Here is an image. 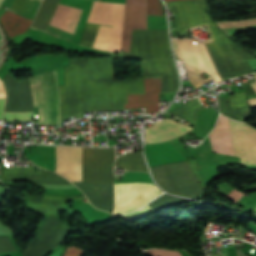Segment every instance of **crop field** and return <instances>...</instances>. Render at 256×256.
<instances>
[{
	"instance_id": "obj_32",
	"label": "crop field",
	"mask_w": 256,
	"mask_h": 256,
	"mask_svg": "<svg viewBox=\"0 0 256 256\" xmlns=\"http://www.w3.org/2000/svg\"><path fill=\"white\" fill-rule=\"evenodd\" d=\"M4 105H5V99H0V119H2Z\"/></svg>"
},
{
	"instance_id": "obj_11",
	"label": "crop field",
	"mask_w": 256,
	"mask_h": 256,
	"mask_svg": "<svg viewBox=\"0 0 256 256\" xmlns=\"http://www.w3.org/2000/svg\"><path fill=\"white\" fill-rule=\"evenodd\" d=\"M145 94L128 95L125 109L146 107L147 113L158 112V94H160L161 78H144Z\"/></svg>"
},
{
	"instance_id": "obj_5",
	"label": "crop field",
	"mask_w": 256,
	"mask_h": 256,
	"mask_svg": "<svg viewBox=\"0 0 256 256\" xmlns=\"http://www.w3.org/2000/svg\"><path fill=\"white\" fill-rule=\"evenodd\" d=\"M115 208L113 216L141 208L162 194L154 184L121 183L114 184Z\"/></svg>"
},
{
	"instance_id": "obj_17",
	"label": "crop field",
	"mask_w": 256,
	"mask_h": 256,
	"mask_svg": "<svg viewBox=\"0 0 256 256\" xmlns=\"http://www.w3.org/2000/svg\"><path fill=\"white\" fill-rule=\"evenodd\" d=\"M83 7L60 2L50 24L74 31Z\"/></svg>"
},
{
	"instance_id": "obj_2",
	"label": "crop field",
	"mask_w": 256,
	"mask_h": 256,
	"mask_svg": "<svg viewBox=\"0 0 256 256\" xmlns=\"http://www.w3.org/2000/svg\"><path fill=\"white\" fill-rule=\"evenodd\" d=\"M130 57L141 60L143 76L162 77L161 93H176L178 75L169 51L167 30H133Z\"/></svg>"
},
{
	"instance_id": "obj_34",
	"label": "crop field",
	"mask_w": 256,
	"mask_h": 256,
	"mask_svg": "<svg viewBox=\"0 0 256 256\" xmlns=\"http://www.w3.org/2000/svg\"><path fill=\"white\" fill-rule=\"evenodd\" d=\"M40 2H41V1H40ZM39 5H40V3H39ZM39 5H38V7H39ZM38 7H37V9H38ZM36 11H37V10H36ZM35 13H36V12H35ZM34 16H35V14H34ZM34 16H33V17H34Z\"/></svg>"
},
{
	"instance_id": "obj_20",
	"label": "crop field",
	"mask_w": 256,
	"mask_h": 256,
	"mask_svg": "<svg viewBox=\"0 0 256 256\" xmlns=\"http://www.w3.org/2000/svg\"><path fill=\"white\" fill-rule=\"evenodd\" d=\"M117 167L126 168V170L148 172L140 152L126 153L118 157Z\"/></svg>"
},
{
	"instance_id": "obj_19",
	"label": "crop field",
	"mask_w": 256,
	"mask_h": 256,
	"mask_svg": "<svg viewBox=\"0 0 256 256\" xmlns=\"http://www.w3.org/2000/svg\"><path fill=\"white\" fill-rule=\"evenodd\" d=\"M59 1L60 0H44L31 27L45 31Z\"/></svg>"
},
{
	"instance_id": "obj_22",
	"label": "crop field",
	"mask_w": 256,
	"mask_h": 256,
	"mask_svg": "<svg viewBox=\"0 0 256 256\" xmlns=\"http://www.w3.org/2000/svg\"><path fill=\"white\" fill-rule=\"evenodd\" d=\"M112 28L100 26L93 48L108 50Z\"/></svg>"
},
{
	"instance_id": "obj_4",
	"label": "crop field",
	"mask_w": 256,
	"mask_h": 256,
	"mask_svg": "<svg viewBox=\"0 0 256 256\" xmlns=\"http://www.w3.org/2000/svg\"><path fill=\"white\" fill-rule=\"evenodd\" d=\"M174 51L179 59L183 60L190 82L195 88L213 80L208 77L202 79L199 74L204 71L212 76L217 84L221 82L202 42L192 39H174Z\"/></svg>"
},
{
	"instance_id": "obj_21",
	"label": "crop field",
	"mask_w": 256,
	"mask_h": 256,
	"mask_svg": "<svg viewBox=\"0 0 256 256\" xmlns=\"http://www.w3.org/2000/svg\"><path fill=\"white\" fill-rule=\"evenodd\" d=\"M203 108L198 98L193 99L184 106L170 112L169 114L178 117L194 125L196 119V109Z\"/></svg>"
},
{
	"instance_id": "obj_6",
	"label": "crop field",
	"mask_w": 256,
	"mask_h": 256,
	"mask_svg": "<svg viewBox=\"0 0 256 256\" xmlns=\"http://www.w3.org/2000/svg\"><path fill=\"white\" fill-rule=\"evenodd\" d=\"M114 148H83V181L97 184L113 181Z\"/></svg>"
},
{
	"instance_id": "obj_10",
	"label": "crop field",
	"mask_w": 256,
	"mask_h": 256,
	"mask_svg": "<svg viewBox=\"0 0 256 256\" xmlns=\"http://www.w3.org/2000/svg\"><path fill=\"white\" fill-rule=\"evenodd\" d=\"M82 148L56 146L55 172L70 181H81Z\"/></svg>"
},
{
	"instance_id": "obj_18",
	"label": "crop field",
	"mask_w": 256,
	"mask_h": 256,
	"mask_svg": "<svg viewBox=\"0 0 256 256\" xmlns=\"http://www.w3.org/2000/svg\"><path fill=\"white\" fill-rule=\"evenodd\" d=\"M0 21L6 33L9 34L10 37L27 31L31 23V20L26 19L19 15H16L14 13H11L7 10L1 16Z\"/></svg>"
},
{
	"instance_id": "obj_23",
	"label": "crop field",
	"mask_w": 256,
	"mask_h": 256,
	"mask_svg": "<svg viewBox=\"0 0 256 256\" xmlns=\"http://www.w3.org/2000/svg\"><path fill=\"white\" fill-rule=\"evenodd\" d=\"M120 182H149L152 183L150 177L146 173L126 172L124 180H114V183Z\"/></svg>"
},
{
	"instance_id": "obj_14",
	"label": "crop field",
	"mask_w": 256,
	"mask_h": 256,
	"mask_svg": "<svg viewBox=\"0 0 256 256\" xmlns=\"http://www.w3.org/2000/svg\"><path fill=\"white\" fill-rule=\"evenodd\" d=\"M145 153L150 167L186 159L169 141L145 145Z\"/></svg>"
},
{
	"instance_id": "obj_25",
	"label": "crop field",
	"mask_w": 256,
	"mask_h": 256,
	"mask_svg": "<svg viewBox=\"0 0 256 256\" xmlns=\"http://www.w3.org/2000/svg\"><path fill=\"white\" fill-rule=\"evenodd\" d=\"M155 212L152 207L148 204L147 206H145L143 209L134 212V213H130V214H125V215H121L120 217L127 219V220H134L146 215H149L151 213Z\"/></svg>"
},
{
	"instance_id": "obj_28",
	"label": "crop field",
	"mask_w": 256,
	"mask_h": 256,
	"mask_svg": "<svg viewBox=\"0 0 256 256\" xmlns=\"http://www.w3.org/2000/svg\"><path fill=\"white\" fill-rule=\"evenodd\" d=\"M15 248L8 237H0V252H12Z\"/></svg>"
},
{
	"instance_id": "obj_26",
	"label": "crop field",
	"mask_w": 256,
	"mask_h": 256,
	"mask_svg": "<svg viewBox=\"0 0 256 256\" xmlns=\"http://www.w3.org/2000/svg\"><path fill=\"white\" fill-rule=\"evenodd\" d=\"M33 112L29 113H10L5 112L4 120H24V121H32Z\"/></svg>"
},
{
	"instance_id": "obj_13",
	"label": "crop field",
	"mask_w": 256,
	"mask_h": 256,
	"mask_svg": "<svg viewBox=\"0 0 256 256\" xmlns=\"http://www.w3.org/2000/svg\"><path fill=\"white\" fill-rule=\"evenodd\" d=\"M191 130L176 121L164 119L155 124L151 129H146V143H158L179 137Z\"/></svg>"
},
{
	"instance_id": "obj_1",
	"label": "crop field",
	"mask_w": 256,
	"mask_h": 256,
	"mask_svg": "<svg viewBox=\"0 0 256 256\" xmlns=\"http://www.w3.org/2000/svg\"><path fill=\"white\" fill-rule=\"evenodd\" d=\"M34 107H39V125H60L59 91L56 70L30 78ZM28 79L15 80L8 73L4 77L7 90L5 111H33Z\"/></svg>"
},
{
	"instance_id": "obj_30",
	"label": "crop field",
	"mask_w": 256,
	"mask_h": 256,
	"mask_svg": "<svg viewBox=\"0 0 256 256\" xmlns=\"http://www.w3.org/2000/svg\"><path fill=\"white\" fill-rule=\"evenodd\" d=\"M243 195L244 193H241L234 188L226 198L235 204Z\"/></svg>"
},
{
	"instance_id": "obj_9",
	"label": "crop field",
	"mask_w": 256,
	"mask_h": 256,
	"mask_svg": "<svg viewBox=\"0 0 256 256\" xmlns=\"http://www.w3.org/2000/svg\"><path fill=\"white\" fill-rule=\"evenodd\" d=\"M132 29H147L146 0H126L121 50L129 52Z\"/></svg>"
},
{
	"instance_id": "obj_15",
	"label": "crop field",
	"mask_w": 256,
	"mask_h": 256,
	"mask_svg": "<svg viewBox=\"0 0 256 256\" xmlns=\"http://www.w3.org/2000/svg\"><path fill=\"white\" fill-rule=\"evenodd\" d=\"M209 138L213 151L234 155L229 121L227 118L222 115L219 116L214 131L209 134Z\"/></svg>"
},
{
	"instance_id": "obj_12",
	"label": "crop field",
	"mask_w": 256,
	"mask_h": 256,
	"mask_svg": "<svg viewBox=\"0 0 256 256\" xmlns=\"http://www.w3.org/2000/svg\"><path fill=\"white\" fill-rule=\"evenodd\" d=\"M98 209L111 212L113 206L112 184L96 185L88 182H73Z\"/></svg>"
},
{
	"instance_id": "obj_3",
	"label": "crop field",
	"mask_w": 256,
	"mask_h": 256,
	"mask_svg": "<svg viewBox=\"0 0 256 256\" xmlns=\"http://www.w3.org/2000/svg\"><path fill=\"white\" fill-rule=\"evenodd\" d=\"M156 182L166 191L201 198L203 187L189 161L176 162L151 168Z\"/></svg>"
},
{
	"instance_id": "obj_7",
	"label": "crop field",
	"mask_w": 256,
	"mask_h": 256,
	"mask_svg": "<svg viewBox=\"0 0 256 256\" xmlns=\"http://www.w3.org/2000/svg\"><path fill=\"white\" fill-rule=\"evenodd\" d=\"M118 5L119 4L95 1L87 22L113 25ZM122 8H123V4H120L116 18H115V22L113 25L110 48H109V51L111 52H118ZM124 8H125V4H124ZM124 8H123V18H124ZM123 18H122V28H123ZM122 28H121V38H122ZM121 38H120V46H121ZM119 52H120V48H119Z\"/></svg>"
},
{
	"instance_id": "obj_16",
	"label": "crop field",
	"mask_w": 256,
	"mask_h": 256,
	"mask_svg": "<svg viewBox=\"0 0 256 256\" xmlns=\"http://www.w3.org/2000/svg\"><path fill=\"white\" fill-rule=\"evenodd\" d=\"M243 89H244L245 92L235 93V94H233L232 96L229 97L230 106L232 108V111L238 117L250 112V110L247 106V103H246V101H245V99L242 95L255 93L254 89L251 87L250 84L243 85ZM217 98H218L220 113H222V114H224V115H226V116H228L232 119L242 121L237 116H235L232 113V111L229 109L226 99H223V98L218 97V96H217Z\"/></svg>"
},
{
	"instance_id": "obj_36",
	"label": "crop field",
	"mask_w": 256,
	"mask_h": 256,
	"mask_svg": "<svg viewBox=\"0 0 256 256\" xmlns=\"http://www.w3.org/2000/svg\"><path fill=\"white\" fill-rule=\"evenodd\" d=\"M255 212H256V208H255V210H254Z\"/></svg>"
},
{
	"instance_id": "obj_29",
	"label": "crop field",
	"mask_w": 256,
	"mask_h": 256,
	"mask_svg": "<svg viewBox=\"0 0 256 256\" xmlns=\"http://www.w3.org/2000/svg\"><path fill=\"white\" fill-rule=\"evenodd\" d=\"M84 254L86 253L82 251L80 248L71 246L66 250L64 256H83Z\"/></svg>"
},
{
	"instance_id": "obj_35",
	"label": "crop field",
	"mask_w": 256,
	"mask_h": 256,
	"mask_svg": "<svg viewBox=\"0 0 256 256\" xmlns=\"http://www.w3.org/2000/svg\"><path fill=\"white\" fill-rule=\"evenodd\" d=\"M172 1V0H165V2Z\"/></svg>"
},
{
	"instance_id": "obj_33",
	"label": "crop field",
	"mask_w": 256,
	"mask_h": 256,
	"mask_svg": "<svg viewBox=\"0 0 256 256\" xmlns=\"http://www.w3.org/2000/svg\"><path fill=\"white\" fill-rule=\"evenodd\" d=\"M0 97L1 98H6V95H5L4 88H3L1 80H0Z\"/></svg>"
},
{
	"instance_id": "obj_27",
	"label": "crop field",
	"mask_w": 256,
	"mask_h": 256,
	"mask_svg": "<svg viewBox=\"0 0 256 256\" xmlns=\"http://www.w3.org/2000/svg\"><path fill=\"white\" fill-rule=\"evenodd\" d=\"M148 254L151 256H182L179 252L175 251H168V250H162V249H153L150 251H147Z\"/></svg>"
},
{
	"instance_id": "obj_24",
	"label": "crop field",
	"mask_w": 256,
	"mask_h": 256,
	"mask_svg": "<svg viewBox=\"0 0 256 256\" xmlns=\"http://www.w3.org/2000/svg\"><path fill=\"white\" fill-rule=\"evenodd\" d=\"M148 15L163 16V6L159 0H147Z\"/></svg>"
},
{
	"instance_id": "obj_8",
	"label": "crop field",
	"mask_w": 256,
	"mask_h": 256,
	"mask_svg": "<svg viewBox=\"0 0 256 256\" xmlns=\"http://www.w3.org/2000/svg\"><path fill=\"white\" fill-rule=\"evenodd\" d=\"M235 156L241 163L256 164V129L230 120Z\"/></svg>"
},
{
	"instance_id": "obj_31",
	"label": "crop field",
	"mask_w": 256,
	"mask_h": 256,
	"mask_svg": "<svg viewBox=\"0 0 256 256\" xmlns=\"http://www.w3.org/2000/svg\"><path fill=\"white\" fill-rule=\"evenodd\" d=\"M254 77L256 78V74L254 75ZM251 85L256 90V83H252ZM248 102H249L250 107L256 106V99H249Z\"/></svg>"
}]
</instances>
